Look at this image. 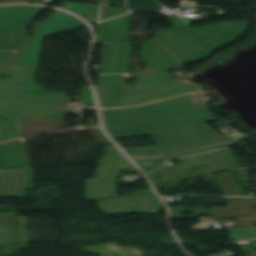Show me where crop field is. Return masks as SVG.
I'll return each instance as SVG.
<instances>
[{"instance_id":"5a996713","label":"crop field","mask_w":256,"mask_h":256,"mask_svg":"<svg viewBox=\"0 0 256 256\" xmlns=\"http://www.w3.org/2000/svg\"><path fill=\"white\" fill-rule=\"evenodd\" d=\"M250 241H251V244L254 247V249H256V239H252Z\"/></svg>"},{"instance_id":"dd49c442","label":"crop field","mask_w":256,"mask_h":256,"mask_svg":"<svg viewBox=\"0 0 256 256\" xmlns=\"http://www.w3.org/2000/svg\"><path fill=\"white\" fill-rule=\"evenodd\" d=\"M81 250L90 251V252H100V256H113V255L143 256L142 250H139L137 248H129V247L117 248L113 246V244H105V245L96 246V247L81 248Z\"/></svg>"},{"instance_id":"34b2d1b8","label":"crop field","mask_w":256,"mask_h":256,"mask_svg":"<svg viewBox=\"0 0 256 256\" xmlns=\"http://www.w3.org/2000/svg\"><path fill=\"white\" fill-rule=\"evenodd\" d=\"M18 149V151H16ZM24 139L21 143L0 145V169H15L29 167Z\"/></svg>"},{"instance_id":"ac0d7876","label":"crop field","mask_w":256,"mask_h":256,"mask_svg":"<svg viewBox=\"0 0 256 256\" xmlns=\"http://www.w3.org/2000/svg\"><path fill=\"white\" fill-rule=\"evenodd\" d=\"M27 189H34L32 169L0 172V197H25Z\"/></svg>"},{"instance_id":"f4fd0767","label":"crop field","mask_w":256,"mask_h":256,"mask_svg":"<svg viewBox=\"0 0 256 256\" xmlns=\"http://www.w3.org/2000/svg\"><path fill=\"white\" fill-rule=\"evenodd\" d=\"M0 117V142L9 141L21 137L19 118L61 120L55 118L26 117L12 115H0ZM3 119H5V122H2Z\"/></svg>"},{"instance_id":"d8731c3e","label":"crop field","mask_w":256,"mask_h":256,"mask_svg":"<svg viewBox=\"0 0 256 256\" xmlns=\"http://www.w3.org/2000/svg\"><path fill=\"white\" fill-rule=\"evenodd\" d=\"M232 240H245L256 237V228L229 229Z\"/></svg>"},{"instance_id":"8a807250","label":"crop field","mask_w":256,"mask_h":256,"mask_svg":"<svg viewBox=\"0 0 256 256\" xmlns=\"http://www.w3.org/2000/svg\"><path fill=\"white\" fill-rule=\"evenodd\" d=\"M106 215L126 213H149L163 209V203L153 193L152 189L136 192L131 197L123 199L109 198L98 203Z\"/></svg>"},{"instance_id":"412701ff","label":"crop field","mask_w":256,"mask_h":256,"mask_svg":"<svg viewBox=\"0 0 256 256\" xmlns=\"http://www.w3.org/2000/svg\"><path fill=\"white\" fill-rule=\"evenodd\" d=\"M238 143L237 141L234 142H229V143H223V144H217V145H212L208 147H203L199 149H194L190 151H185L181 153H176L168 156H162V157H142V158H132L135 163L138 166H151V165H164L167 163L168 160L173 159V158H178V157H183L187 155H192V154H197L205 151H210L218 148H223L227 146H233Z\"/></svg>"},{"instance_id":"e52e79f7","label":"crop field","mask_w":256,"mask_h":256,"mask_svg":"<svg viewBox=\"0 0 256 256\" xmlns=\"http://www.w3.org/2000/svg\"><path fill=\"white\" fill-rule=\"evenodd\" d=\"M5 71L3 74L5 78H10V77H35L36 75V69H28V68H16V67H10L8 69H0V76L2 73Z\"/></svg>"}]
</instances>
